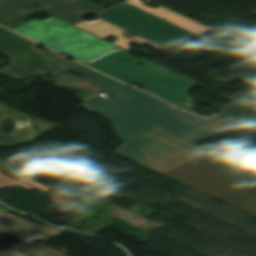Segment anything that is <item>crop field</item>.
<instances>
[{
  "instance_id": "8a807250",
  "label": "crop field",
  "mask_w": 256,
  "mask_h": 256,
  "mask_svg": "<svg viewBox=\"0 0 256 256\" xmlns=\"http://www.w3.org/2000/svg\"><path fill=\"white\" fill-rule=\"evenodd\" d=\"M116 153L256 216V189L235 164L161 129Z\"/></svg>"
},
{
  "instance_id": "ac0d7876",
  "label": "crop field",
  "mask_w": 256,
  "mask_h": 256,
  "mask_svg": "<svg viewBox=\"0 0 256 256\" xmlns=\"http://www.w3.org/2000/svg\"><path fill=\"white\" fill-rule=\"evenodd\" d=\"M72 71L85 75L84 80L114 97L109 101L90 98L83 106L105 116L119 132L123 142L132 138L136 139L135 137L155 127L159 129L186 113L87 67L81 66Z\"/></svg>"
},
{
  "instance_id": "34b2d1b8",
  "label": "crop field",
  "mask_w": 256,
  "mask_h": 256,
  "mask_svg": "<svg viewBox=\"0 0 256 256\" xmlns=\"http://www.w3.org/2000/svg\"><path fill=\"white\" fill-rule=\"evenodd\" d=\"M137 61L146 65L143 68H138ZM87 65L127 84L142 83L148 92L176 106L181 107L189 101L183 95L192 85V81L163 68L153 70L156 68L155 64L146 60L133 59L127 51L121 48L95 59ZM151 74L153 76H150Z\"/></svg>"
},
{
  "instance_id": "412701ff",
  "label": "crop field",
  "mask_w": 256,
  "mask_h": 256,
  "mask_svg": "<svg viewBox=\"0 0 256 256\" xmlns=\"http://www.w3.org/2000/svg\"><path fill=\"white\" fill-rule=\"evenodd\" d=\"M13 30L48 47L54 46L55 50L70 54L83 63L117 48L54 17L42 22L33 20Z\"/></svg>"
},
{
  "instance_id": "f4fd0767",
  "label": "crop field",
  "mask_w": 256,
  "mask_h": 256,
  "mask_svg": "<svg viewBox=\"0 0 256 256\" xmlns=\"http://www.w3.org/2000/svg\"><path fill=\"white\" fill-rule=\"evenodd\" d=\"M36 46L37 44L0 27V52L12 57V64L0 69V75H10L15 79L43 72L57 75L80 65L75 61L61 59L56 52L37 50Z\"/></svg>"
},
{
  "instance_id": "dd49c442",
  "label": "crop field",
  "mask_w": 256,
  "mask_h": 256,
  "mask_svg": "<svg viewBox=\"0 0 256 256\" xmlns=\"http://www.w3.org/2000/svg\"><path fill=\"white\" fill-rule=\"evenodd\" d=\"M98 16L166 49L197 37L176 25L161 21L160 18L127 3Z\"/></svg>"
},
{
  "instance_id": "e52e79f7",
  "label": "crop field",
  "mask_w": 256,
  "mask_h": 256,
  "mask_svg": "<svg viewBox=\"0 0 256 256\" xmlns=\"http://www.w3.org/2000/svg\"><path fill=\"white\" fill-rule=\"evenodd\" d=\"M27 4H39L42 9L66 22L76 24L82 21V18L91 15L99 14L105 9L91 4L85 0H21Z\"/></svg>"
},
{
  "instance_id": "d8731c3e",
  "label": "crop field",
  "mask_w": 256,
  "mask_h": 256,
  "mask_svg": "<svg viewBox=\"0 0 256 256\" xmlns=\"http://www.w3.org/2000/svg\"><path fill=\"white\" fill-rule=\"evenodd\" d=\"M163 129L196 144L223 131L222 128L199 119L191 113L163 127Z\"/></svg>"
},
{
  "instance_id": "5a996713",
  "label": "crop field",
  "mask_w": 256,
  "mask_h": 256,
  "mask_svg": "<svg viewBox=\"0 0 256 256\" xmlns=\"http://www.w3.org/2000/svg\"><path fill=\"white\" fill-rule=\"evenodd\" d=\"M6 118H11L16 123L15 131L6 135H3L0 125V144L8 147L18 145L21 143H27L40 136L30 124V117L20 114L2 104H0V121Z\"/></svg>"
},
{
  "instance_id": "3316defc",
  "label": "crop field",
  "mask_w": 256,
  "mask_h": 256,
  "mask_svg": "<svg viewBox=\"0 0 256 256\" xmlns=\"http://www.w3.org/2000/svg\"><path fill=\"white\" fill-rule=\"evenodd\" d=\"M57 231V229L43 227L10 214L5 215L0 220V236L1 234L13 235L32 245L35 244L28 240L41 236L54 235Z\"/></svg>"
},
{
  "instance_id": "28ad6ade",
  "label": "crop field",
  "mask_w": 256,
  "mask_h": 256,
  "mask_svg": "<svg viewBox=\"0 0 256 256\" xmlns=\"http://www.w3.org/2000/svg\"><path fill=\"white\" fill-rule=\"evenodd\" d=\"M199 118L226 129L231 128L235 123L239 122L245 124L247 128L256 132V111H253L237 102L223 108L222 112L214 117Z\"/></svg>"
},
{
  "instance_id": "d1516ede",
  "label": "crop field",
  "mask_w": 256,
  "mask_h": 256,
  "mask_svg": "<svg viewBox=\"0 0 256 256\" xmlns=\"http://www.w3.org/2000/svg\"><path fill=\"white\" fill-rule=\"evenodd\" d=\"M75 26L80 27V28H82L90 33H93L97 36H100L102 38H105V37H108L111 35H118L119 39L116 42H114V44L121 46L127 50H130V49H128V42H140V43L152 44L154 46H157L155 48H162V47L155 45L149 41H146L138 36L131 40L124 39L120 36V33H121V31H123V29H121L115 25H112L104 20H101V19H98L97 21H93V22L82 21V22L76 24Z\"/></svg>"
},
{
  "instance_id": "22f410ed",
  "label": "crop field",
  "mask_w": 256,
  "mask_h": 256,
  "mask_svg": "<svg viewBox=\"0 0 256 256\" xmlns=\"http://www.w3.org/2000/svg\"><path fill=\"white\" fill-rule=\"evenodd\" d=\"M27 5L19 0H0V24L13 29L24 24V22H14L16 18L32 15L40 10L27 5L28 8L19 9L20 6Z\"/></svg>"
},
{
  "instance_id": "cbeb9de0",
  "label": "crop field",
  "mask_w": 256,
  "mask_h": 256,
  "mask_svg": "<svg viewBox=\"0 0 256 256\" xmlns=\"http://www.w3.org/2000/svg\"><path fill=\"white\" fill-rule=\"evenodd\" d=\"M127 3L135 5L147 12H150V13L160 17V18L166 19L167 21H169L173 24H176L180 27H183L198 36L210 31L204 27H201V26L194 24L190 21H187V20H185V19H183V18H181L163 8L158 7L155 9H150V8L144 6L139 0H129V1H127Z\"/></svg>"
},
{
  "instance_id": "5142ce71",
  "label": "crop field",
  "mask_w": 256,
  "mask_h": 256,
  "mask_svg": "<svg viewBox=\"0 0 256 256\" xmlns=\"http://www.w3.org/2000/svg\"><path fill=\"white\" fill-rule=\"evenodd\" d=\"M18 185V186H21L25 189H33V188H37L41 191H44V192H47L49 190H51L50 188H48L47 186L35 181V180H32L28 177H25L23 179H20V180H15L13 178H10L8 176H5L3 174H1V171H0V188H4V187H8V186H12V185Z\"/></svg>"
},
{
  "instance_id": "d9b57169",
  "label": "crop field",
  "mask_w": 256,
  "mask_h": 256,
  "mask_svg": "<svg viewBox=\"0 0 256 256\" xmlns=\"http://www.w3.org/2000/svg\"><path fill=\"white\" fill-rule=\"evenodd\" d=\"M238 81L246 83L248 85L253 86V90L237 99L236 101L252 108L256 106V77L254 76H245Z\"/></svg>"
},
{
  "instance_id": "733c2abd",
  "label": "crop field",
  "mask_w": 256,
  "mask_h": 256,
  "mask_svg": "<svg viewBox=\"0 0 256 256\" xmlns=\"http://www.w3.org/2000/svg\"><path fill=\"white\" fill-rule=\"evenodd\" d=\"M0 254H2V255H4V256H28V255H25V254L20 253V252H18V251H15V250L10 251V252H8V253L2 252V253H0Z\"/></svg>"
},
{
  "instance_id": "4a817a6b",
  "label": "crop field",
  "mask_w": 256,
  "mask_h": 256,
  "mask_svg": "<svg viewBox=\"0 0 256 256\" xmlns=\"http://www.w3.org/2000/svg\"><path fill=\"white\" fill-rule=\"evenodd\" d=\"M4 214H6V213L0 211V217L3 216Z\"/></svg>"
},
{
  "instance_id": "bc2a9ffb",
  "label": "crop field",
  "mask_w": 256,
  "mask_h": 256,
  "mask_svg": "<svg viewBox=\"0 0 256 256\" xmlns=\"http://www.w3.org/2000/svg\"><path fill=\"white\" fill-rule=\"evenodd\" d=\"M0 209H2V208H0ZM2 210H4V211L8 212V210H5V209H2Z\"/></svg>"
},
{
  "instance_id": "214f88e0",
  "label": "crop field",
  "mask_w": 256,
  "mask_h": 256,
  "mask_svg": "<svg viewBox=\"0 0 256 256\" xmlns=\"http://www.w3.org/2000/svg\"><path fill=\"white\" fill-rule=\"evenodd\" d=\"M253 109H255V110H256V107H254Z\"/></svg>"
}]
</instances>
